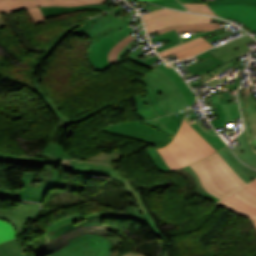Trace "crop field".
<instances>
[{
  "mask_svg": "<svg viewBox=\"0 0 256 256\" xmlns=\"http://www.w3.org/2000/svg\"><path fill=\"white\" fill-rule=\"evenodd\" d=\"M242 77H238V78H236V80H237V83L236 84H233V85H229V90H235L241 83H239V81H240V79H241Z\"/></svg>",
  "mask_w": 256,
  "mask_h": 256,
  "instance_id": "crop-field-48",
  "label": "crop field"
},
{
  "mask_svg": "<svg viewBox=\"0 0 256 256\" xmlns=\"http://www.w3.org/2000/svg\"><path fill=\"white\" fill-rule=\"evenodd\" d=\"M238 97L240 106L243 112V117L246 122V129L253 150L256 149V101L253 97L252 90L246 88L239 92Z\"/></svg>",
  "mask_w": 256,
  "mask_h": 256,
  "instance_id": "crop-field-12",
  "label": "crop field"
},
{
  "mask_svg": "<svg viewBox=\"0 0 256 256\" xmlns=\"http://www.w3.org/2000/svg\"><path fill=\"white\" fill-rule=\"evenodd\" d=\"M141 79L144 80L147 84H149V85L151 86V88L154 90L155 96H156V98H157L158 105L162 108V110H163L166 114H170L169 110L163 105L160 92H159V90L157 89V87L153 84V82H151V81L148 80V79H145L144 77H141ZM166 110H168V111L166 112Z\"/></svg>",
  "mask_w": 256,
  "mask_h": 256,
  "instance_id": "crop-field-43",
  "label": "crop field"
},
{
  "mask_svg": "<svg viewBox=\"0 0 256 256\" xmlns=\"http://www.w3.org/2000/svg\"><path fill=\"white\" fill-rule=\"evenodd\" d=\"M35 159L36 158L15 157L12 155H6V154L0 153V161L2 162L34 164Z\"/></svg>",
  "mask_w": 256,
  "mask_h": 256,
  "instance_id": "crop-field-38",
  "label": "crop field"
},
{
  "mask_svg": "<svg viewBox=\"0 0 256 256\" xmlns=\"http://www.w3.org/2000/svg\"><path fill=\"white\" fill-rule=\"evenodd\" d=\"M244 189H246L249 193H251L252 195H254L256 197V192L251 190L249 187L245 186L243 187Z\"/></svg>",
  "mask_w": 256,
  "mask_h": 256,
  "instance_id": "crop-field-53",
  "label": "crop field"
},
{
  "mask_svg": "<svg viewBox=\"0 0 256 256\" xmlns=\"http://www.w3.org/2000/svg\"><path fill=\"white\" fill-rule=\"evenodd\" d=\"M136 39L134 36H132L131 34L129 36H127L126 38H124L123 40H121L118 44H116L114 46V48L111 50V52L108 55V60L111 64H118L117 62V55L119 54V52L132 40Z\"/></svg>",
  "mask_w": 256,
  "mask_h": 256,
  "instance_id": "crop-field-28",
  "label": "crop field"
},
{
  "mask_svg": "<svg viewBox=\"0 0 256 256\" xmlns=\"http://www.w3.org/2000/svg\"><path fill=\"white\" fill-rule=\"evenodd\" d=\"M223 158L230 164V166L235 170V172L243 178L247 183L250 182L251 180L234 164V162L229 158V156L224 152V150L218 151ZM228 164V165H229Z\"/></svg>",
  "mask_w": 256,
  "mask_h": 256,
  "instance_id": "crop-field-42",
  "label": "crop field"
},
{
  "mask_svg": "<svg viewBox=\"0 0 256 256\" xmlns=\"http://www.w3.org/2000/svg\"><path fill=\"white\" fill-rule=\"evenodd\" d=\"M156 149L172 171L205 157L178 132L169 144Z\"/></svg>",
  "mask_w": 256,
  "mask_h": 256,
  "instance_id": "crop-field-5",
  "label": "crop field"
},
{
  "mask_svg": "<svg viewBox=\"0 0 256 256\" xmlns=\"http://www.w3.org/2000/svg\"><path fill=\"white\" fill-rule=\"evenodd\" d=\"M196 58L199 60V63L188 66L189 70L192 72L193 75L207 72L223 64L221 61H219L216 57H214L207 51L196 56Z\"/></svg>",
  "mask_w": 256,
  "mask_h": 256,
  "instance_id": "crop-field-17",
  "label": "crop field"
},
{
  "mask_svg": "<svg viewBox=\"0 0 256 256\" xmlns=\"http://www.w3.org/2000/svg\"><path fill=\"white\" fill-rule=\"evenodd\" d=\"M126 192L130 195H132L137 203V206L139 207L142 214L149 212L146 206L144 205V202L141 199V195L133 190V188L130 186V184L125 179V188Z\"/></svg>",
  "mask_w": 256,
  "mask_h": 256,
  "instance_id": "crop-field-36",
  "label": "crop field"
},
{
  "mask_svg": "<svg viewBox=\"0 0 256 256\" xmlns=\"http://www.w3.org/2000/svg\"><path fill=\"white\" fill-rule=\"evenodd\" d=\"M205 190L218 198H223L247 184L217 152L193 165Z\"/></svg>",
  "mask_w": 256,
  "mask_h": 256,
  "instance_id": "crop-field-2",
  "label": "crop field"
},
{
  "mask_svg": "<svg viewBox=\"0 0 256 256\" xmlns=\"http://www.w3.org/2000/svg\"><path fill=\"white\" fill-rule=\"evenodd\" d=\"M251 40L253 39L246 35L223 46L207 51L219 58V60H221L222 62L226 63L227 61L250 50L245 43Z\"/></svg>",
  "mask_w": 256,
  "mask_h": 256,
  "instance_id": "crop-field-14",
  "label": "crop field"
},
{
  "mask_svg": "<svg viewBox=\"0 0 256 256\" xmlns=\"http://www.w3.org/2000/svg\"><path fill=\"white\" fill-rule=\"evenodd\" d=\"M218 30V29H217ZM216 31V30H215ZM212 32H214V31H209V32H204V33H200V35L202 36V37H204V36H206V35H208V34H210V33H212Z\"/></svg>",
  "mask_w": 256,
  "mask_h": 256,
  "instance_id": "crop-field-56",
  "label": "crop field"
},
{
  "mask_svg": "<svg viewBox=\"0 0 256 256\" xmlns=\"http://www.w3.org/2000/svg\"><path fill=\"white\" fill-rule=\"evenodd\" d=\"M39 208V204H20L14 211L0 210V217L11 221L17 227L21 236L24 228L28 225Z\"/></svg>",
  "mask_w": 256,
  "mask_h": 256,
  "instance_id": "crop-field-13",
  "label": "crop field"
},
{
  "mask_svg": "<svg viewBox=\"0 0 256 256\" xmlns=\"http://www.w3.org/2000/svg\"><path fill=\"white\" fill-rule=\"evenodd\" d=\"M218 206H222L235 214L256 220V206L247 203L234 193L218 202Z\"/></svg>",
  "mask_w": 256,
  "mask_h": 256,
  "instance_id": "crop-field-15",
  "label": "crop field"
},
{
  "mask_svg": "<svg viewBox=\"0 0 256 256\" xmlns=\"http://www.w3.org/2000/svg\"><path fill=\"white\" fill-rule=\"evenodd\" d=\"M226 153L231 157V159L236 163V165L252 180L256 177V170L251 169L247 166H245L244 164H242L237 158L236 156L233 154V152L228 148L225 147L223 148Z\"/></svg>",
  "mask_w": 256,
  "mask_h": 256,
  "instance_id": "crop-field-34",
  "label": "crop field"
},
{
  "mask_svg": "<svg viewBox=\"0 0 256 256\" xmlns=\"http://www.w3.org/2000/svg\"><path fill=\"white\" fill-rule=\"evenodd\" d=\"M142 16L149 34L170 25L204 23L212 20L210 17L173 11L167 8L157 9Z\"/></svg>",
  "mask_w": 256,
  "mask_h": 256,
  "instance_id": "crop-field-7",
  "label": "crop field"
},
{
  "mask_svg": "<svg viewBox=\"0 0 256 256\" xmlns=\"http://www.w3.org/2000/svg\"><path fill=\"white\" fill-rule=\"evenodd\" d=\"M123 153L114 151L113 153H100L79 160H66L60 165L62 168L75 173L90 175H103L120 181L124 184V177L113 168V163L121 158Z\"/></svg>",
  "mask_w": 256,
  "mask_h": 256,
  "instance_id": "crop-field-4",
  "label": "crop field"
},
{
  "mask_svg": "<svg viewBox=\"0 0 256 256\" xmlns=\"http://www.w3.org/2000/svg\"><path fill=\"white\" fill-rule=\"evenodd\" d=\"M178 132H180L187 140H189L205 156H208V155L212 154L184 126H181Z\"/></svg>",
  "mask_w": 256,
  "mask_h": 256,
  "instance_id": "crop-field-31",
  "label": "crop field"
},
{
  "mask_svg": "<svg viewBox=\"0 0 256 256\" xmlns=\"http://www.w3.org/2000/svg\"><path fill=\"white\" fill-rule=\"evenodd\" d=\"M29 13L31 14L32 18L34 19L35 23L45 21L44 16L41 13L40 8H32L28 9Z\"/></svg>",
  "mask_w": 256,
  "mask_h": 256,
  "instance_id": "crop-field-46",
  "label": "crop field"
},
{
  "mask_svg": "<svg viewBox=\"0 0 256 256\" xmlns=\"http://www.w3.org/2000/svg\"><path fill=\"white\" fill-rule=\"evenodd\" d=\"M199 141L203 143L212 153L216 150L213 149L185 120H183V124Z\"/></svg>",
  "mask_w": 256,
  "mask_h": 256,
  "instance_id": "crop-field-44",
  "label": "crop field"
},
{
  "mask_svg": "<svg viewBox=\"0 0 256 256\" xmlns=\"http://www.w3.org/2000/svg\"><path fill=\"white\" fill-rule=\"evenodd\" d=\"M69 240V245L49 256H109L112 251L110 241L100 235L84 234Z\"/></svg>",
  "mask_w": 256,
  "mask_h": 256,
  "instance_id": "crop-field-6",
  "label": "crop field"
},
{
  "mask_svg": "<svg viewBox=\"0 0 256 256\" xmlns=\"http://www.w3.org/2000/svg\"><path fill=\"white\" fill-rule=\"evenodd\" d=\"M158 67L162 69L166 74H168L175 81V83L179 85L189 105L191 106L192 103L195 101L196 97L193 94V92L190 90V88L187 86V84L184 82V80L181 78V76L177 74V72L173 68H171L169 65H167L165 62L159 65Z\"/></svg>",
  "mask_w": 256,
  "mask_h": 256,
  "instance_id": "crop-field-19",
  "label": "crop field"
},
{
  "mask_svg": "<svg viewBox=\"0 0 256 256\" xmlns=\"http://www.w3.org/2000/svg\"><path fill=\"white\" fill-rule=\"evenodd\" d=\"M127 213L120 212H98L88 216L80 213L62 218L46 228V240L49 241L61 234H64L74 228L84 227L89 225H102L104 217L124 218L134 220L142 225L148 224L156 237H161L164 243H169L167 238L158 230L155 221L150 213L141 215L137 206H126Z\"/></svg>",
  "mask_w": 256,
  "mask_h": 256,
  "instance_id": "crop-field-3",
  "label": "crop field"
},
{
  "mask_svg": "<svg viewBox=\"0 0 256 256\" xmlns=\"http://www.w3.org/2000/svg\"><path fill=\"white\" fill-rule=\"evenodd\" d=\"M104 1L105 0H0V13L18 11L23 8L34 6H77Z\"/></svg>",
  "mask_w": 256,
  "mask_h": 256,
  "instance_id": "crop-field-10",
  "label": "crop field"
},
{
  "mask_svg": "<svg viewBox=\"0 0 256 256\" xmlns=\"http://www.w3.org/2000/svg\"><path fill=\"white\" fill-rule=\"evenodd\" d=\"M128 24L130 23L127 21V19L124 16L119 18L118 20L107 25L101 32H99L91 43L95 44L101 37H103L106 34L111 36L116 31L127 26Z\"/></svg>",
  "mask_w": 256,
  "mask_h": 256,
  "instance_id": "crop-field-24",
  "label": "crop field"
},
{
  "mask_svg": "<svg viewBox=\"0 0 256 256\" xmlns=\"http://www.w3.org/2000/svg\"><path fill=\"white\" fill-rule=\"evenodd\" d=\"M14 237H18L14 227L9 223L0 220V243Z\"/></svg>",
  "mask_w": 256,
  "mask_h": 256,
  "instance_id": "crop-field-29",
  "label": "crop field"
},
{
  "mask_svg": "<svg viewBox=\"0 0 256 256\" xmlns=\"http://www.w3.org/2000/svg\"><path fill=\"white\" fill-rule=\"evenodd\" d=\"M183 113H176L146 122H126L112 125L101 131L149 142L160 147L168 143L175 135Z\"/></svg>",
  "mask_w": 256,
  "mask_h": 256,
  "instance_id": "crop-field-1",
  "label": "crop field"
},
{
  "mask_svg": "<svg viewBox=\"0 0 256 256\" xmlns=\"http://www.w3.org/2000/svg\"><path fill=\"white\" fill-rule=\"evenodd\" d=\"M122 256H144V255H142V254H133V253H131V251H129L128 253H126Z\"/></svg>",
  "mask_w": 256,
  "mask_h": 256,
  "instance_id": "crop-field-51",
  "label": "crop field"
},
{
  "mask_svg": "<svg viewBox=\"0 0 256 256\" xmlns=\"http://www.w3.org/2000/svg\"><path fill=\"white\" fill-rule=\"evenodd\" d=\"M146 1H149V0H146Z\"/></svg>",
  "mask_w": 256,
  "mask_h": 256,
  "instance_id": "crop-field-59",
  "label": "crop field"
},
{
  "mask_svg": "<svg viewBox=\"0 0 256 256\" xmlns=\"http://www.w3.org/2000/svg\"><path fill=\"white\" fill-rule=\"evenodd\" d=\"M235 139H237L241 145L238 146V148H233L237 156L244 163L256 168V153L253 152V150L250 148L248 144L246 131L244 130V132Z\"/></svg>",
  "mask_w": 256,
  "mask_h": 256,
  "instance_id": "crop-field-16",
  "label": "crop field"
},
{
  "mask_svg": "<svg viewBox=\"0 0 256 256\" xmlns=\"http://www.w3.org/2000/svg\"><path fill=\"white\" fill-rule=\"evenodd\" d=\"M165 39L169 40L171 43L163 45L160 48H157L156 49L157 51H160V50L169 48L171 46L177 45L179 43V41H180L179 36H178V34L176 33L175 30L169 31V32H165L162 35H158V36L152 38L151 41L152 42H156V41H161V40H165Z\"/></svg>",
  "mask_w": 256,
  "mask_h": 256,
  "instance_id": "crop-field-27",
  "label": "crop field"
},
{
  "mask_svg": "<svg viewBox=\"0 0 256 256\" xmlns=\"http://www.w3.org/2000/svg\"><path fill=\"white\" fill-rule=\"evenodd\" d=\"M133 31L134 30H132L130 27L127 26V27L119 30L118 32H116L111 37H113L115 40H117L119 42L121 39H123L124 37H126L127 35H129Z\"/></svg>",
  "mask_w": 256,
  "mask_h": 256,
  "instance_id": "crop-field-45",
  "label": "crop field"
},
{
  "mask_svg": "<svg viewBox=\"0 0 256 256\" xmlns=\"http://www.w3.org/2000/svg\"><path fill=\"white\" fill-rule=\"evenodd\" d=\"M222 4H250V5L256 6V2H252V1H232V2H223V3H213L208 5L211 6V5H222Z\"/></svg>",
  "mask_w": 256,
  "mask_h": 256,
  "instance_id": "crop-field-47",
  "label": "crop field"
},
{
  "mask_svg": "<svg viewBox=\"0 0 256 256\" xmlns=\"http://www.w3.org/2000/svg\"><path fill=\"white\" fill-rule=\"evenodd\" d=\"M222 1H231V0H213V1H206V3L222 2ZM253 1H256V0H253Z\"/></svg>",
  "mask_w": 256,
  "mask_h": 256,
  "instance_id": "crop-field-55",
  "label": "crop field"
},
{
  "mask_svg": "<svg viewBox=\"0 0 256 256\" xmlns=\"http://www.w3.org/2000/svg\"><path fill=\"white\" fill-rule=\"evenodd\" d=\"M52 180L45 182V184L39 188L28 186L29 181L36 178L37 173L25 172L22 178L24 189L19 192H6L0 187V193L17 199L37 201L43 203L47 193L51 188L59 181L60 175L57 171L53 170Z\"/></svg>",
  "mask_w": 256,
  "mask_h": 256,
  "instance_id": "crop-field-9",
  "label": "crop field"
},
{
  "mask_svg": "<svg viewBox=\"0 0 256 256\" xmlns=\"http://www.w3.org/2000/svg\"><path fill=\"white\" fill-rule=\"evenodd\" d=\"M118 18L112 16L110 13L106 14L104 17L99 19L85 34L90 38V41L96 36V34L102 30L107 24L111 23L112 21Z\"/></svg>",
  "mask_w": 256,
  "mask_h": 256,
  "instance_id": "crop-field-25",
  "label": "crop field"
},
{
  "mask_svg": "<svg viewBox=\"0 0 256 256\" xmlns=\"http://www.w3.org/2000/svg\"><path fill=\"white\" fill-rule=\"evenodd\" d=\"M143 76L158 86L163 102L171 113L185 111V108L189 106L177 84L158 67Z\"/></svg>",
  "mask_w": 256,
  "mask_h": 256,
  "instance_id": "crop-field-8",
  "label": "crop field"
},
{
  "mask_svg": "<svg viewBox=\"0 0 256 256\" xmlns=\"http://www.w3.org/2000/svg\"><path fill=\"white\" fill-rule=\"evenodd\" d=\"M227 66H229L228 63H226V64H224V65H222V66H220V67H218V68H216V69H214V70H212L210 72H207V73H204V74H200L201 78H198L197 81L201 84V83H203V81H205V80H207V79H209V78H211V77H213V76L223 72L222 70L225 69ZM195 86H197V85H195ZM195 86H193V87H195Z\"/></svg>",
  "mask_w": 256,
  "mask_h": 256,
  "instance_id": "crop-field-40",
  "label": "crop field"
},
{
  "mask_svg": "<svg viewBox=\"0 0 256 256\" xmlns=\"http://www.w3.org/2000/svg\"><path fill=\"white\" fill-rule=\"evenodd\" d=\"M52 177V172L50 168H45L41 174L37 175V178L31 182L29 185L39 187L44 184L45 181L50 180Z\"/></svg>",
  "mask_w": 256,
  "mask_h": 256,
  "instance_id": "crop-field-39",
  "label": "crop field"
},
{
  "mask_svg": "<svg viewBox=\"0 0 256 256\" xmlns=\"http://www.w3.org/2000/svg\"><path fill=\"white\" fill-rule=\"evenodd\" d=\"M0 256H24L18 238L1 243Z\"/></svg>",
  "mask_w": 256,
  "mask_h": 256,
  "instance_id": "crop-field-23",
  "label": "crop field"
},
{
  "mask_svg": "<svg viewBox=\"0 0 256 256\" xmlns=\"http://www.w3.org/2000/svg\"><path fill=\"white\" fill-rule=\"evenodd\" d=\"M133 97L136 103L137 112L143 119L149 120L159 117L151 107L150 100L146 92L134 95Z\"/></svg>",
  "mask_w": 256,
  "mask_h": 256,
  "instance_id": "crop-field-20",
  "label": "crop field"
},
{
  "mask_svg": "<svg viewBox=\"0 0 256 256\" xmlns=\"http://www.w3.org/2000/svg\"><path fill=\"white\" fill-rule=\"evenodd\" d=\"M181 2H199L204 3L202 0H180Z\"/></svg>",
  "mask_w": 256,
  "mask_h": 256,
  "instance_id": "crop-field-54",
  "label": "crop field"
},
{
  "mask_svg": "<svg viewBox=\"0 0 256 256\" xmlns=\"http://www.w3.org/2000/svg\"><path fill=\"white\" fill-rule=\"evenodd\" d=\"M203 41H205V39H203L201 36H199V37L194 38L190 41H187L183 44H180V45L175 46L173 48L162 51L159 54H160L161 57H164V56H167V55H170V54H173V53L185 50V49H189V48H191V47H193V46H195V45H197V44H199Z\"/></svg>",
  "mask_w": 256,
  "mask_h": 256,
  "instance_id": "crop-field-26",
  "label": "crop field"
},
{
  "mask_svg": "<svg viewBox=\"0 0 256 256\" xmlns=\"http://www.w3.org/2000/svg\"><path fill=\"white\" fill-rule=\"evenodd\" d=\"M214 20H217L218 22L223 21V20H221V19L213 18V20H212V21H214ZM223 22H225V21H223ZM225 23H226V22H225Z\"/></svg>",
  "mask_w": 256,
  "mask_h": 256,
  "instance_id": "crop-field-58",
  "label": "crop field"
},
{
  "mask_svg": "<svg viewBox=\"0 0 256 256\" xmlns=\"http://www.w3.org/2000/svg\"><path fill=\"white\" fill-rule=\"evenodd\" d=\"M247 186H249L251 189H253V190L256 191V180H255L254 182L250 183V184L247 185Z\"/></svg>",
  "mask_w": 256,
  "mask_h": 256,
  "instance_id": "crop-field-52",
  "label": "crop field"
},
{
  "mask_svg": "<svg viewBox=\"0 0 256 256\" xmlns=\"http://www.w3.org/2000/svg\"><path fill=\"white\" fill-rule=\"evenodd\" d=\"M147 153L150 155V158L154 164V166L165 172V173H169L171 172V170L167 167V165L165 164L164 160L162 159V157L159 155V153L156 151V149L153 148H149L147 149Z\"/></svg>",
  "mask_w": 256,
  "mask_h": 256,
  "instance_id": "crop-field-30",
  "label": "crop field"
},
{
  "mask_svg": "<svg viewBox=\"0 0 256 256\" xmlns=\"http://www.w3.org/2000/svg\"><path fill=\"white\" fill-rule=\"evenodd\" d=\"M39 80H41V78L37 79V81H39ZM36 84L38 85L37 82H36ZM36 90H37V94H42L43 95V92H41L39 85L37 86ZM44 98L46 100L47 105H50L52 107L51 111L52 112L53 111L57 112L56 116L61 120V122L57 125L56 128H59L61 126H65L64 123L68 122L70 124V123L76 121V119H70L69 117H67L64 114H62L59 110H57L56 107L51 104V101L46 96Z\"/></svg>",
  "mask_w": 256,
  "mask_h": 256,
  "instance_id": "crop-field-32",
  "label": "crop field"
},
{
  "mask_svg": "<svg viewBox=\"0 0 256 256\" xmlns=\"http://www.w3.org/2000/svg\"><path fill=\"white\" fill-rule=\"evenodd\" d=\"M183 169H185L186 171H188V172L193 176V178H194V180H195L196 190H197V192H198L201 196H203V197H205V198H207V199H209V200H211V201H213V202H215V203H216L218 200H220V199L214 197L213 195L209 194L207 191H205V190L203 189V187H202V185H201V183H200V181H199L198 176L196 175V173L192 170V168H191L190 166H188V167H186V168H183Z\"/></svg>",
  "mask_w": 256,
  "mask_h": 256,
  "instance_id": "crop-field-33",
  "label": "crop field"
},
{
  "mask_svg": "<svg viewBox=\"0 0 256 256\" xmlns=\"http://www.w3.org/2000/svg\"><path fill=\"white\" fill-rule=\"evenodd\" d=\"M221 17L236 19L256 30V7L250 5H223L211 7ZM256 38V36H255Z\"/></svg>",
  "mask_w": 256,
  "mask_h": 256,
  "instance_id": "crop-field-11",
  "label": "crop field"
},
{
  "mask_svg": "<svg viewBox=\"0 0 256 256\" xmlns=\"http://www.w3.org/2000/svg\"><path fill=\"white\" fill-rule=\"evenodd\" d=\"M189 11L216 16L206 4L182 3Z\"/></svg>",
  "mask_w": 256,
  "mask_h": 256,
  "instance_id": "crop-field-37",
  "label": "crop field"
},
{
  "mask_svg": "<svg viewBox=\"0 0 256 256\" xmlns=\"http://www.w3.org/2000/svg\"><path fill=\"white\" fill-rule=\"evenodd\" d=\"M224 80H226L225 77L221 78L220 81H217V79L212 80V81L208 82V84L211 85V86H213V85H215V84H217V83H219V82H222V81H224Z\"/></svg>",
  "mask_w": 256,
  "mask_h": 256,
  "instance_id": "crop-field-49",
  "label": "crop field"
},
{
  "mask_svg": "<svg viewBox=\"0 0 256 256\" xmlns=\"http://www.w3.org/2000/svg\"><path fill=\"white\" fill-rule=\"evenodd\" d=\"M164 256H170V254L168 253V250L166 248V251H165V255Z\"/></svg>",
  "mask_w": 256,
  "mask_h": 256,
  "instance_id": "crop-field-57",
  "label": "crop field"
},
{
  "mask_svg": "<svg viewBox=\"0 0 256 256\" xmlns=\"http://www.w3.org/2000/svg\"><path fill=\"white\" fill-rule=\"evenodd\" d=\"M236 193L238 196H240L242 199L248 201L249 203L256 205V198L249 194L247 191H245L243 188L237 190ZM247 202V203H248ZM251 223L253 224L254 228L256 229V221L250 220Z\"/></svg>",
  "mask_w": 256,
  "mask_h": 256,
  "instance_id": "crop-field-41",
  "label": "crop field"
},
{
  "mask_svg": "<svg viewBox=\"0 0 256 256\" xmlns=\"http://www.w3.org/2000/svg\"><path fill=\"white\" fill-rule=\"evenodd\" d=\"M197 36H199V34L192 35V36H187V37H183V38H181V39H182L183 42H185V41L190 40V39H192V38H194V37H197Z\"/></svg>",
  "mask_w": 256,
  "mask_h": 256,
  "instance_id": "crop-field-50",
  "label": "crop field"
},
{
  "mask_svg": "<svg viewBox=\"0 0 256 256\" xmlns=\"http://www.w3.org/2000/svg\"><path fill=\"white\" fill-rule=\"evenodd\" d=\"M77 9H102V10L110 11L114 8L103 5V4L80 6V7H41V10L45 17L60 14V13L70 12Z\"/></svg>",
  "mask_w": 256,
  "mask_h": 256,
  "instance_id": "crop-field-21",
  "label": "crop field"
},
{
  "mask_svg": "<svg viewBox=\"0 0 256 256\" xmlns=\"http://www.w3.org/2000/svg\"><path fill=\"white\" fill-rule=\"evenodd\" d=\"M220 95L212 96L211 98L214 104L221 103L225 121L230 122L233 121L232 118L241 117L237 104L228 105V102H231L229 92H222Z\"/></svg>",
  "mask_w": 256,
  "mask_h": 256,
  "instance_id": "crop-field-18",
  "label": "crop field"
},
{
  "mask_svg": "<svg viewBox=\"0 0 256 256\" xmlns=\"http://www.w3.org/2000/svg\"><path fill=\"white\" fill-rule=\"evenodd\" d=\"M209 47H212L209 42L205 41L189 50H185L183 52L176 53V56L179 58V60L187 58L189 56L195 55Z\"/></svg>",
  "mask_w": 256,
  "mask_h": 256,
  "instance_id": "crop-field-35",
  "label": "crop field"
},
{
  "mask_svg": "<svg viewBox=\"0 0 256 256\" xmlns=\"http://www.w3.org/2000/svg\"><path fill=\"white\" fill-rule=\"evenodd\" d=\"M219 27V23H204V24H191V25H180L170 26L157 31L159 34L165 31L176 29L178 33L190 32V31H201V30H213Z\"/></svg>",
  "mask_w": 256,
  "mask_h": 256,
  "instance_id": "crop-field-22",
  "label": "crop field"
}]
</instances>
